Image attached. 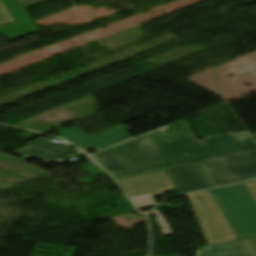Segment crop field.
Here are the masks:
<instances>
[{"label":"crop field","mask_w":256,"mask_h":256,"mask_svg":"<svg viewBox=\"0 0 256 256\" xmlns=\"http://www.w3.org/2000/svg\"><path fill=\"white\" fill-rule=\"evenodd\" d=\"M119 183L129 197L174 189L163 170L121 178Z\"/></svg>","instance_id":"crop-field-6"},{"label":"crop field","mask_w":256,"mask_h":256,"mask_svg":"<svg viewBox=\"0 0 256 256\" xmlns=\"http://www.w3.org/2000/svg\"><path fill=\"white\" fill-rule=\"evenodd\" d=\"M20 9H23L22 7H20V8H14V9H10L9 11H10V13H13V12H16V11H18V10H20Z\"/></svg>","instance_id":"crop-field-15"},{"label":"crop field","mask_w":256,"mask_h":256,"mask_svg":"<svg viewBox=\"0 0 256 256\" xmlns=\"http://www.w3.org/2000/svg\"><path fill=\"white\" fill-rule=\"evenodd\" d=\"M256 200V181L246 184Z\"/></svg>","instance_id":"crop-field-14"},{"label":"crop field","mask_w":256,"mask_h":256,"mask_svg":"<svg viewBox=\"0 0 256 256\" xmlns=\"http://www.w3.org/2000/svg\"><path fill=\"white\" fill-rule=\"evenodd\" d=\"M165 172L179 194L210 188L197 164L166 169Z\"/></svg>","instance_id":"crop-field-8"},{"label":"crop field","mask_w":256,"mask_h":256,"mask_svg":"<svg viewBox=\"0 0 256 256\" xmlns=\"http://www.w3.org/2000/svg\"><path fill=\"white\" fill-rule=\"evenodd\" d=\"M250 256H256V237L240 240Z\"/></svg>","instance_id":"crop-field-12"},{"label":"crop field","mask_w":256,"mask_h":256,"mask_svg":"<svg viewBox=\"0 0 256 256\" xmlns=\"http://www.w3.org/2000/svg\"><path fill=\"white\" fill-rule=\"evenodd\" d=\"M17 23H10L4 26H0V34L7 35L12 38L29 35L38 32L39 30L32 24L30 19L28 18L25 10H21L17 13L13 14ZM20 24L25 32L22 30H18L16 25Z\"/></svg>","instance_id":"crop-field-10"},{"label":"crop field","mask_w":256,"mask_h":256,"mask_svg":"<svg viewBox=\"0 0 256 256\" xmlns=\"http://www.w3.org/2000/svg\"><path fill=\"white\" fill-rule=\"evenodd\" d=\"M29 146L20 149L13 154L21 155L23 156L22 160H27L29 158H35L39 159L45 163H50V162H56V163H64L66 162L64 158L68 157L71 154L77 155L82 153L76 148H73L67 152L54 147L52 142L44 139V138H39L36 139L30 143H27Z\"/></svg>","instance_id":"crop-field-7"},{"label":"crop field","mask_w":256,"mask_h":256,"mask_svg":"<svg viewBox=\"0 0 256 256\" xmlns=\"http://www.w3.org/2000/svg\"><path fill=\"white\" fill-rule=\"evenodd\" d=\"M256 135V134H255Z\"/></svg>","instance_id":"crop-field-16"},{"label":"crop field","mask_w":256,"mask_h":256,"mask_svg":"<svg viewBox=\"0 0 256 256\" xmlns=\"http://www.w3.org/2000/svg\"><path fill=\"white\" fill-rule=\"evenodd\" d=\"M159 194H161V193L133 197V198H131V200L133 201V203L136 205L137 208L152 206V205H155V202H154L152 196L159 195Z\"/></svg>","instance_id":"crop-field-11"},{"label":"crop field","mask_w":256,"mask_h":256,"mask_svg":"<svg viewBox=\"0 0 256 256\" xmlns=\"http://www.w3.org/2000/svg\"><path fill=\"white\" fill-rule=\"evenodd\" d=\"M187 196L208 245L236 239L208 191Z\"/></svg>","instance_id":"crop-field-4"},{"label":"crop field","mask_w":256,"mask_h":256,"mask_svg":"<svg viewBox=\"0 0 256 256\" xmlns=\"http://www.w3.org/2000/svg\"><path fill=\"white\" fill-rule=\"evenodd\" d=\"M213 187L256 178V151L199 163Z\"/></svg>","instance_id":"crop-field-3"},{"label":"crop field","mask_w":256,"mask_h":256,"mask_svg":"<svg viewBox=\"0 0 256 256\" xmlns=\"http://www.w3.org/2000/svg\"><path fill=\"white\" fill-rule=\"evenodd\" d=\"M10 22H14V19L11 17L3 2L0 0V25H4Z\"/></svg>","instance_id":"crop-field-13"},{"label":"crop field","mask_w":256,"mask_h":256,"mask_svg":"<svg viewBox=\"0 0 256 256\" xmlns=\"http://www.w3.org/2000/svg\"><path fill=\"white\" fill-rule=\"evenodd\" d=\"M212 193L239 238L256 235V202L245 184Z\"/></svg>","instance_id":"crop-field-2"},{"label":"crop field","mask_w":256,"mask_h":256,"mask_svg":"<svg viewBox=\"0 0 256 256\" xmlns=\"http://www.w3.org/2000/svg\"><path fill=\"white\" fill-rule=\"evenodd\" d=\"M197 256H248L238 240L201 247Z\"/></svg>","instance_id":"crop-field-9"},{"label":"crop field","mask_w":256,"mask_h":256,"mask_svg":"<svg viewBox=\"0 0 256 256\" xmlns=\"http://www.w3.org/2000/svg\"><path fill=\"white\" fill-rule=\"evenodd\" d=\"M129 130L131 129L120 124L91 136L85 134L75 127L59 129L57 132L62 135L64 139L70 141L72 144L78 146L84 151L90 148H94L95 150L99 151L118 142L132 138L131 136L127 135V131Z\"/></svg>","instance_id":"crop-field-5"},{"label":"crop field","mask_w":256,"mask_h":256,"mask_svg":"<svg viewBox=\"0 0 256 256\" xmlns=\"http://www.w3.org/2000/svg\"><path fill=\"white\" fill-rule=\"evenodd\" d=\"M172 135L161 131L124 142L94 156L115 178L155 171L256 150L250 132L219 135L195 141L183 120L170 124Z\"/></svg>","instance_id":"crop-field-1"}]
</instances>
